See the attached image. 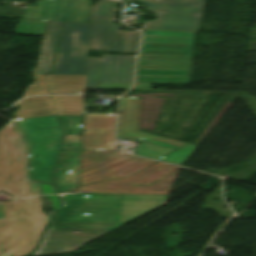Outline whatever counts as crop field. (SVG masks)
I'll return each instance as SVG.
<instances>
[{
	"instance_id": "8a807250",
	"label": "crop field",
	"mask_w": 256,
	"mask_h": 256,
	"mask_svg": "<svg viewBox=\"0 0 256 256\" xmlns=\"http://www.w3.org/2000/svg\"><path fill=\"white\" fill-rule=\"evenodd\" d=\"M24 141L11 122L0 130V190L14 198L0 203V256H26L32 252L60 206L51 183L27 179ZM40 195L53 205L54 211L48 218L41 212Z\"/></svg>"
},
{
	"instance_id": "ac0d7876",
	"label": "crop field",
	"mask_w": 256,
	"mask_h": 256,
	"mask_svg": "<svg viewBox=\"0 0 256 256\" xmlns=\"http://www.w3.org/2000/svg\"><path fill=\"white\" fill-rule=\"evenodd\" d=\"M154 162L116 151H82L79 191L168 194L179 168L161 163L128 178L81 187L84 184L130 175Z\"/></svg>"
},
{
	"instance_id": "34b2d1b8",
	"label": "crop field",
	"mask_w": 256,
	"mask_h": 256,
	"mask_svg": "<svg viewBox=\"0 0 256 256\" xmlns=\"http://www.w3.org/2000/svg\"><path fill=\"white\" fill-rule=\"evenodd\" d=\"M167 199L168 195L78 194L76 230L112 231Z\"/></svg>"
},
{
	"instance_id": "412701ff",
	"label": "crop field",
	"mask_w": 256,
	"mask_h": 256,
	"mask_svg": "<svg viewBox=\"0 0 256 256\" xmlns=\"http://www.w3.org/2000/svg\"><path fill=\"white\" fill-rule=\"evenodd\" d=\"M140 98L121 97L116 139H143L134 154L181 165L195 145L138 131Z\"/></svg>"
},
{
	"instance_id": "f4fd0767",
	"label": "crop field",
	"mask_w": 256,
	"mask_h": 256,
	"mask_svg": "<svg viewBox=\"0 0 256 256\" xmlns=\"http://www.w3.org/2000/svg\"><path fill=\"white\" fill-rule=\"evenodd\" d=\"M89 24L64 22L52 74H86Z\"/></svg>"
},
{
	"instance_id": "dd49c442",
	"label": "crop field",
	"mask_w": 256,
	"mask_h": 256,
	"mask_svg": "<svg viewBox=\"0 0 256 256\" xmlns=\"http://www.w3.org/2000/svg\"><path fill=\"white\" fill-rule=\"evenodd\" d=\"M105 233L107 232L83 231V233H69V231H46L40 248L32 255L70 251Z\"/></svg>"
},
{
	"instance_id": "e52e79f7",
	"label": "crop field",
	"mask_w": 256,
	"mask_h": 256,
	"mask_svg": "<svg viewBox=\"0 0 256 256\" xmlns=\"http://www.w3.org/2000/svg\"><path fill=\"white\" fill-rule=\"evenodd\" d=\"M134 57L127 55H102L98 83H132Z\"/></svg>"
},
{
	"instance_id": "d8731c3e",
	"label": "crop field",
	"mask_w": 256,
	"mask_h": 256,
	"mask_svg": "<svg viewBox=\"0 0 256 256\" xmlns=\"http://www.w3.org/2000/svg\"><path fill=\"white\" fill-rule=\"evenodd\" d=\"M118 25L107 24L103 51L137 52L139 31H118Z\"/></svg>"
},
{
	"instance_id": "5a996713",
	"label": "crop field",
	"mask_w": 256,
	"mask_h": 256,
	"mask_svg": "<svg viewBox=\"0 0 256 256\" xmlns=\"http://www.w3.org/2000/svg\"><path fill=\"white\" fill-rule=\"evenodd\" d=\"M154 13L200 14L203 0H141ZM196 5V8L190 7Z\"/></svg>"
},
{
	"instance_id": "3316defc",
	"label": "crop field",
	"mask_w": 256,
	"mask_h": 256,
	"mask_svg": "<svg viewBox=\"0 0 256 256\" xmlns=\"http://www.w3.org/2000/svg\"><path fill=\"white\" fill-rule=\"evenodd\" d=\"M157 20L147 21L143 28L198 30L201 16L157 15Z\"/></svg>"
},
{
	"instance_id": "28ad6ade",
	"label": "crop field",
	"mask_w": 256,
	"mask_h": 256,
	"mask_svg": "<svg viewBox=\"0 0 256 256\" xmlns=\"http://www.w3.org/2000/svg\"><path fill=\"white\" fill-rule=\"evenodd\" d=\"M63 206L47 230H75L77 193H59Z\"/></svg>"
},
{
	"instance_id": "d1516ede",
	"label": "crop field",
	"mask_w": 256,
	"mask_h": 256,
	"mask_svg": "<svg viewBox=\"0 0 256 256\" xmlns=\"http://www.w3.org/2000/svg\"><path fill=\"white\" fill-rule=\"evenodd\" d=\"M67 0L37 2L35 8L26 9L22 18L62 21Z\"/></svg>"
},
{
	"instance_id": "22f410ed",
	"label": "crop field",
	"mask_w": 256,
	"mask_h": 256,
	"mask_svg": "<svg viewBox=\"0 0 256 256\" xmlns=\"http://www.w3.org/2000/svg\"><path fill=\"white\" fill-rule=\"evenodd\" d=\"M62 22L49 21L47 35L44 42L40 63L35 70V74L50 73L51 63L54 57V51L61 28Z\"/></svg>"
},
{
	"instance_id": "cbeb9de0",
	"label": "crop field",
	"mask_w": 256,
	"mask_h": 256,
	"mask_svg": "<svg viewBox=\"0 0 256 256\" xmlns=\"http://www.w3.org/2000/svg\"><path fill=\"white\" fill-rule=\"evenodd\" d=\"M81 150H116L113 131H83Z\"/></svg>"
},
{
	"instance_id": "5142ce71",
	"label": "crop field",
	"mask_w": 256,
	"mask_h": 256,
	"mask_svg": "<svg viewBox=\"0 0 256 256\" xmlns=\"http://www.w3.org/2000/svg\"><path fill=\"white\" fill-rule=\"evenodd\" d=\"M116 0H98V3L92 6L90 23H110L113 24L115 17Z\"/></svg>"
},
{
	"instance_id": "d9b57169",
	"label": "crop field",
	"mask_w": 256,
	"mask_h": 256,
	"mask_svg": "<svg viewBox=\"0 0 256 256\" xmlns=\"http://www.w3.org/2000/svg\"><path fill=\"white\" fill-rule=\"evenodd\" d=\"M115 114H85L83 130H114Z\"/></svg>"
},
{
	"instance_id": "733c2abd",
	"label": "crop field",
	"mask_w": 256,
	"mask_h": 256,
	"mask_svg": "<svg viewBox=\"0 0 256 256\" xmlns=\"http://www.w3.org/2000/svg\"><path fill=\"white\" fill-rule=\"evenodd\" d=\"M89 8V0H69L64 21L86 23Z\"/></svg>"
},
{
	"instance_id": "4a817a6b",
	"label": "crop field",
	"mask_w": 256,
	"mask_h": 256,
	"mask_svg": "<svg viewBox=\"0 0 256 256\" xmlns=\"http://www.w3.org/2000/svg\"><path fill=\"white\" fill-rule=\"evenodd\" d=\"M46 21L21 19L15 34L43 36Z\"/></svg>"
},
{
	"instance_id": "bc2a9ffb",
	"label": "crop field",
	"mask_w": 256,
	"mask_h": 256,
	"mask_svg": "<svg viewBox=\"0 0 256 256\" xmlns=\"http://www.w3.org/2000/svg\"><path fill=\"white\" fill-rule=\"evenodd\" d=\"M106 24H90V49L102 51Z\"/></svg>"
},
{
	"instance_id": "214f88e0",
	"label": "crop field",
	"mask_w": 256,
	"mask_h": 256,
	"mask_svg": "<svg viewBox=\"0 0 256 256\" xmlns=\"http://www.w3.org/2000/svg\"><path fill=\"white\" fill-rule=\"evenodd\" d=\"M99 58H88L86 89H96Z\"/></svg>"
},
{
	"instance_id": "92a150f3",
	"label": "crop field",
	"mask_w": 256,
	"mask_h": 256,
	"mask_svg": "<svg viewBox=\"0 0 256 256\" xmlns=\"http://www.w3.org/2000/svg\"><path fill=\"white\" fill-rule=\"evenodd\" d=\"M131 84H98L97 89L128 90Z\"/></svg>"
},
{
	"instance_id": "dafd665d",
	"label": "crop field",
	"mask_w": 256,
	"mask_h": 256,
	"mask_svg": "<svg viewBox=\"0 0 256 256\" xmlns=\"http://www.w3.org/2000/svg\"><path fill=\"white\" fill-rule=\"evenodd\" d=\"M151 84H136L132 90H151Z\"/></svg>"
},
{
	"instance_id": "00972430",
	"label": "crop field",
	"mask_w": 256,
	"mask_h": 256,
	"mask_svg": "<svg viewBox=\"0 0 256 256\" xmlns=\"http://www.w3.org/2000/svg\"><path fill=\"white\" fill-rule=\"evenodd\" d=\"M138 1H140V0H138Z\"/></svg>"
}]
</instances>
